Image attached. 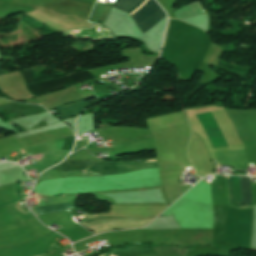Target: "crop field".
Returning <instances> with one entry per match:
<instances>
[{"instance_id": "8a807250", "label": "crop field", "mask_w": 256, "mask_h": 256, "mask_svg": "<svg viewBox=\"0 0 256 256\" xmlns=\"http://www.w3.org/2000/svg\"><path fill=\"white\" fill-rule=\"evenodd\" d=\"M20 73L26 83V87L28 91L35 96L52 92L65 87H69L76 83L95 78L94 76L89 74L87 71H85V72L69 75L66 77L38 83L31 69L21 71Z\"/></svg>"}, {"instance_id": "ac0d7876", "label": "crop field", "mask_w": 256, "mask_h": 256, "mask_svg": "<svg viewBox=\"0 0 256 256\" xmlns=\"http://www.w3.org/2000/svg\"><path fill=\"white\" fill-rule=\"evenodd\" d=\"M148 0H146L139 8H137L135 11H133L130 16L136 12L138 9H140L144 4H146ZM160 6L154 1L149 0V2L144 5L140 10H138L136 13H134L131 17L137 24L141 20L147 18L150 14H152L156 9H158ZM165 16L164 12L161 8L156 10L152 15H150L147 19L141 21L138 25L140 30L145 32L149 28H151L153 25H155L157 22H159L163 17Z\"/></svg>"}, {"instance_id": "34b2d1b8", "label": "crop field", "mask_w": 256, "mask_h": 256, "mask_svg": "<svg viewBox=\"0 0 256 256\" xmlns=\"http://www.w3.org/2000/svg\"><path fill=\"white\" fill-rule=\"evenodd\" d=\"M241 204L251 203L250 177H239ZM230 205L240 204L238 177L228 178Z\"/></svg>"}, {"instance_id": "412701ff", "label": "crop field", "mask_w": 256, "mask_h": 256, "mask_svg": "<svg viewBox=\"0 0 256 256\" xmlns=\"http://www.w3.org/2000/svg\"><path fill=\"white\" fill-rule=\"evenodd\" d=\"M197 118L207 133L214 149L228 147L223 134L211 113L198 115Z\"/></svg>"}, {"instance_id": "f4fd0767", "label": "crop field", "mask_w": 256, "mask_h": 256, "mask_svg": "<svg viewBox=\"0 0 256 256\" xmlns=\"http://www.w3.org/2000/svg\"><path fill=\"white\" fill-rule=\"evenodd\" d=\"M40 202L43 215L73 208L70 197L54 200H40Z\"/></svg>"}, {"instance_id": "dd49c442", "label": "crop field", "mask_w": 256, "mask_h": 256, "mask_svg": "<svg viewBox=\"0 0 256 256\" xmlns=\"http://www.w3.org/2000/svg\"><path fill=\"white\" fill-rule=\"evenodd\" d=\"M87 106L85 100L77 102L75 104L58 108V112L62 119L79 115V113Z\"/></svg>"}, {"instance_id": "e52e79f7", "label": "crop field", "mask_w": 256, "mask_h": 256, "mask_svg": "<svg viewBox=\"0 0 256 256\" xmlns=\"http://www.w3.org/2000/svg\"><path fill=\"white\" fill-rule=\"evenodd\" d=\"M152 161H156V160H152ZM146 162H151V161H146ZM117 164V168H118V172H126V171H130V170H137V169H144V168H155L157 167L156 162H152V163H137V164H131V162L129 163H116Z\"/></svg>"}, {"instance_id": "d8731c3e", "label": "crop field", "mask_w": 256, "mask_h": 256, "mask_svg": "<svg viewBox=\"0 0 256 256\" xmlns=\"http://www.w3.org/2000/svg\"><path fill=\"white\" fill-rule=\"evenodd\" d=\"M139 1H141V0H116L113 5V8H117V9L124 10L127 12L131 8H133ZM142 1L139 2L134 8L138 7L142 3ZM133 9H131L129 12H131Z\"/></svg>"}]
</instances>
